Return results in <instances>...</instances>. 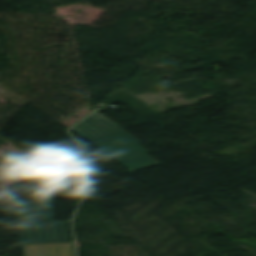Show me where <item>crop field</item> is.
<instances>
[{"instance_id": "1", "label": "crop field", "mask_w": 256, "mask_h": 256, "mask_svg": "<svg viewBox=\"0 0 256 256\" xmlns=\"http://www.w3.org/2000/svg\"><path fill=\"white\" fill-rule=\"evenodd\" d=\"M123 130L97 112L71 129L132 172L160 164L146 154L149 151L141 142Z\"/></svg>"}, {"instance_id": "3", "label": "crop field", "mask_w": 256, "mask_h": 256, "mask_svg": "<svg viewBox=\"0 0 256 256\" xmlns=\"http://www.w3.org/2000/svg\"><path fill=\"white\" fill-rule=\"evenodd\" d=\"M25 256H74L73 243L23 246Z\"/></svg>"}, {"instance_id": "2", "label": "crop field", "mask_w": 256, "mask_h": 256, "mask_svg": "<svg viewBox=\"0 0 256 256\" xmlns=\"http://www.w3.org/2000/svg\"><path fill=\"white\" fill-rule=\"evenodd\" d=\"M14 203L22 244L69 241L65 222H55L52 199Z\"/></svg>"}]
</instances>
